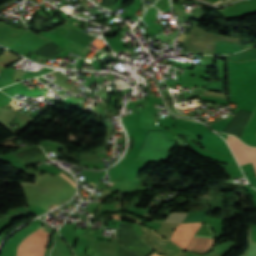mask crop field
<instances>
[{"label": "crop field", "instance_id": "crop-field-1", "mask_svg": "<svg viewBox=\"0 0 256 256\" xmlns=\"http://www.w3.org/2000/svg\"><path fill=\"white\" fill-rule=\"evenodd\" d=\"M51 233L52 231L46 228L35 230L18 245L16 256H44Z\"/></svg>", "mask_w": 256, "mask_h": 256}, {"label": "crop field", "instance_id": "crop-field-2", "mask_svg": "<svg viewBox=\"0 0 256 256\" xmlns=\"http://www.w3.org/2000/svg\"><path fill=\"white\" fill-rule=\"evenodd\" d=\"M139 232L147 244L161 253H167L171 255L182 251L181 249L174 246L169 240L158 236L157 233L149 228L140 225Z\"/></svg>", "mask_w": 256, "mask_h": 256}, {"label": "crop field", "instance_id": "crop-field-3", "mask_svg": "<svg viewBox=\"0 0 256 256\" xmlns=\"http://www.w3.org/2000/svg\"><path fill=\"white\" fill-rule=\"evenodd\" d=\"M227 143L230 145L239 165L252 161L256 171V148H250L233 136H227Z\"/></svg>", "mask_w": 256, "mask_h": 256}, {"label": "crop field", "instance_id": "crop-field-4", "mask_svg": "<svg viewBox=\"0 0 256 256\" xmlns=\"http://www.w3.org/2000/svg\"><path fill=\"white\" fill-rule=\"evenodd\" d=\"M200 224L201 223L179 224L169 240L184 249L187 242L197 230V228L200 226Z\"/></svg>", "mask_w": 256, "mask_h": 256}, {"label": "crop field", "instance_id": "crop-field-5", "mask_svg": "<svg viewBox=\"0 0 256 256\" xmlns=\"http://www.w3.org/2000/svg\"><path fill=\"white\" fill-rule=\"evenodd\" d=\"M212 244L213 238L192 237L190 243L186 247V250L205 252L212 246Z\"/></svg>", "mask_w": 256, "mask_h": 256}, {"label": "crop field", "instance_id": "crop-field-6", "mask_svg": "<svg viewBox=\"0 0 256 256\" xmlns=\"http://www.w3.org/2000/svg\"><path fill=\"white\" fill-rule=\"evenodd\" d=\"M59 175H61L65 180H67L69 183H71L75 187V182H73L71 179H69L68 177H66L65 175H63L61 173Z\"/></svg>", "mask_w": 256, "mask_h": 256}, {"label": "crop field", "instance_id": "crop-field-7", "mask_svg": "<svg viewBox=\"0 0 256 256\" xmlns=\"http://www.w3.org/2000/svg\"><path fill=\"white\" fill-rule=\"evenodd\" d=\"M151 256H159V255H157V254L154 253V254H152Z\"/></svg>", "mask_w": 256, "mask_h": 256}, {"label": "crop field", "instance_id": "crop-field-8", "mask_svg": "<svg viewBox=\"0 0 256 256\" xmlns=\"http://www.w3.org/2000/svg\"><path fill=\"white\" fill-rule=\"evenodd\" d=\"M150 97H154L153 94H150Z\"/></svg>", "mask_w": 256, "mask_h": 256}]
</instances>
